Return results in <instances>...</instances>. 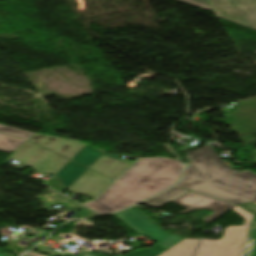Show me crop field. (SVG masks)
<instances>
[{"label":"crop field","mask_w":256,"mask_h":256,"mask_svg":"<svg viewBox=\"0 0 256 256\" xmlns=\"http://www.w3.org/2000/svg\"><path fill=\"white\" fill-rule=\"evenodd\" d=\"M187 155L192 163H188L181 181L144 203L159 208L192 191L238 204L256 215L255 172L230 168L210 145Z\"/></svg>","instance_id":"crop-field-1"},{"label":"crop field","mask_w":256,"mask_h":256,"mask_svg":"<svg viewBox=\"0 0 256 256\" xmlns=\"http://www.w3.org/2000/svg\"><path fill=\"white\" fill-rule=\"evenodd\" d=\"M181 172L177 160L142 158L97 200L85 205L102 214L118 211L176 183Z\"/></svg>","instance_id":"crop-field-2"},{"label":"crop field","mask_w":256,"mask_h":256,"mask_svg":"<svg viewBox=\"0 0 256 256\" xmlns=\"http://www.w3.org/2000/svg\"><path fill=\"white\" fill-rule=\"evenodd\" d=\"M246 221L243 226H230L221 240L203 239L195 256H240L253 214L241 207L232 209Z\"/></svg>","instance_id":"crop-field-3"},{"label":"crop field","mask_w":256,"mask_h":256,"mask_svg":"<svg viewBox=\"0 0 256 256\" xmlns=\"http://www.w3.org/2000/svg\"><path fill=\"white\" fill-rule=\"evenodd\" d=\"M9 157L39 172L53 175L70 161L29 141L12 152Z\"/></svg>","instance_id":"crop-field-4"},{"label":"crop field","mask_w":256,"mask_h":256,"mask_svg":"<svg viewBox=\"0 0 256 256\" xmlns=\"http://www.w3.org/2000/svg\"><path fill=\"white\" fill-rule=\"evenodd\" d=\"M219 18L256 30V0H209Z\"/></svg>","instance_id":"crop-field-5"},{"label":"crop field","mask_w":256,"mask_h":256,"mask_svg":"<svg viewBox=\"0 0 256 256\" xmlns=\"http://www.w3.org/2000/svg\"><path fill=\"white\" fill-rule=\"evenodd\" d=\"M115 215L139 234L148 236L167 249L183 240L178 235H171L164 232L133 207Z\"/></svg>","instance_id":"crop-field-6"},{"label":"crop field","mask_w":256,"mask_h":256,"mask_svg":"<svg viewBox=\"0 0 256 256\" xmlns=\"http://www.w3.org/2000/svg\"><path fill=\"white\" fill-rule=\"evenodd\" d=\"M173 202L188 208L187 211L182 213H187L195 209H209L214 211V214L204 219V222L206 223L212 222L219 216L223 215L227 211L237 206L235 204H231L192 192L174 200Z\"/></svg>","instance_id":"crop-field-7"},{"label":"crop field","mask_w":256,"mask_h":256,"mask_svg":"<svg viewBox=\"0 0 256 256\" xmlns=\"http://www.w3.org/2000/svg\"><path fill=\"white\" fill-rule=\"evenodd\" d=\"M113 180L88 169L67 190L78 195L93 198Z\"/></svg>","instance_id":"crop-field-8"},{"label":"crop field","mask_w":256,"mask_h":256,"mask_svg":"<svg viewBox=\"0 0 256 256\" xmlns=\"http://www.w3.org/2000/svg\"><path fill=\"white\" fill-rule=\"evenodd\" d=\"M29 140L55 151L70 160L86 145V143L80 141L56 136H46L43 134H36Z\"/></svg>","instance_id":"crop-field-9"},{"label":"crop field","mask_w":256,"mask_h":256,"mask_svg":"<svg viewBox=\"0 0 256 256\" xmlns=\"http://www.w3.org/2000/svg\"><path fill=\"white\" fill-rule=\"evenodd\" d=\"M129 165L130 163L102 155L91 169L115 179Z\"/></svg>","instance_id":"crop-field-10"},{"label":"crop field","mask_w":256,"mask_h":256,"mask_svg":"<svg viewBox=\"0 0 256 256\" xmlns=\"http://www.w3.org/2000/svg\"><path fill=\"white\" fill-rule=\"evenodd\" d=\"M86 170L87 168L71 161L65 168H63L57 174V177L60 179V181L63 183V185L67 189Z\"/></svg>","instance_id":"crop-field-11"},{"label":"crop field","mask_w":256,"mask_h":256,"mask_svg":"<svg viewBox=\"0 0 256 256\" xmlns=\"http://www.w3.org/2000/svg\"><path fill=\"white\" fill-rule=\"evenodd\" d=\"M200 239H185L159 256H192Z\"/></svg>","instance_id":"crop-field-12"},{"label":"crop field","mask_w":256,"mask_h":256,"mask_svg":"<svg viewBox=\"0 0 256 256\" xmlns=\"http://www.w3.org/2000/svg\"><path fill=\"white\" fill-rule=\"evenodd\" d=\"M102 154L87 144L72 160L90 168Z\"/></svg>","instance_id":"crop-field-13"},{"label":"crop field","mask_w":256,"mask_h":256,"mask_svg":"<svg viewBox=\"0 0 256 256\" xmlns=\"http://www.w3.org/2000/svg\"><path fill=\"white\" fill-rule=\"evenodd\" d=\"M241 256H256V216H253V220Z\"/></svg>","instance_id":"crop-field-14"},{"label":"crop field","mask_w":256,"mask_h":256,"mask_svg":"<svg viewBox=\"0 0 256 256\" xmlns=\"http://www.w3.org/2000/svg\"><path fill=\"white\" fill-rule=\"evenodd\" d=\"M25 141L26 140H22L19 138H15V137L0 133V150L12 152L21 144H23Z\"/></svg>","instance_id":"crop-field-15"},{"label":"crop field","mask_w":256,"mask_h":256,"mask_svg":"<svg viewBox=\"0 0 256 256\" xmlns=\"http://www.w3.org/2000/svg\"><path fill=\"white\" fill-rule=\"evenodd\" d=\"M165 250L167 249H165L164 247L156 243L151 249H142L139 251L131 252L125 256H157ZM85 256H104V255L91 252Z\"/></svg>","instance_id":"crop-field-16"},{"label":"crop field","mask_w":256,"mask_h":256,"mask_svg":"<svg viewBox=\"0 0 256 256\" xmlns=\"http://www.w3.org/2000/svg\"><path fill=\"white\" fill-rule=\"evenodd\" d=\"M0 132L15 135V136H19V137H23V138H27V139H29L30 137H32L35 134V133L19 130V129H16V128L4 126V125H1V124H0Z\"/></svg>","instance_id":"crop-field-17"},{"label":"crop field","mask_w":256,"mask_h":256,"mask_svg":"<svg viewBox=\"0 0 256 256\" xmlns=\"http://www.w3.org/2000/svg\"><path fill=\"white\" fill-rule=\"evenodd\" d=\"M184 3H188L197 7H201L207 10L214 11L207 0H178Z\"/></svg>","instance_id":"crop-field-18"},{"label":"crop field","mask_w":256,"mask_h":256,"mask_svg":"<svg viewBox=\"0 0 256 256\" xmlns=\"http://www.w3.org/2000/svg\"><path fill=\"white\" fill-rule=\"evenodd\" d=\"M25 256H44V255H41V254L31 251L28 254H26Z\"/></svg>","instance_id":"crop-field-19"},{"label":"crop field","mask_w":256,"mask_h":256,"mask_svg":"<svg viewBox=\"0 0 256 256\" xmlns=\"http://www.w3.org/2000/svg\"><path fill=\"white\" fill-rule=\"evenodd\" d=\"M0 256H8V255L0 254Z\"/></svg>","instance_id":"crop-field-20"}]
</instances>
